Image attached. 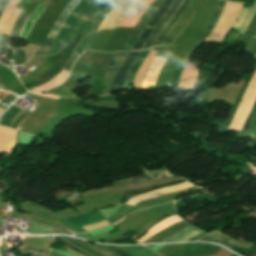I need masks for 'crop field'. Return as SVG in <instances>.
I'll list each match as a JSON object with an SVG mask.
<instances>
[{
	"label": "crop field",
	"mask_w": 256,
	"mask_h": 256,
	"mask_svg": "<svg viewBox=\"0 0 256 256\" xmlns=\"http://www.w3.org/2000/svg\"><path fill=\"white\" fill-rule=\"evenodd\" d=\"M97 1L98 0H81L78 6L73 10L71 15L65 21L62 29L58 34L57 40L63 41L66 44L72 38H74L86 16Z\"/></svg>",
	"instance_id": "crop-field-1"
},
{
	"label": "crop field",
	"mask_w": 256,
	"mask_h": 256,
	"mask_svg": "<svg viewBox=\"0 0 256 256\" xmlns=\"http://www.w3.org/2000/svg\"><path fill=\"white\" fill-rule=\"evenodd\" d=\"M244 3H233L227 1L223 12L213 30V32L206 38L207 40H219L226 35V33L233 26L238 14L240 13Z\"/></svg>",
	"instance_id": "crop-field-2"
},
{
	"label": "crop field",
	"mask_w": 256,
	"mask_h": 256,
	"mask_svg": "<svg viewBox=\"0 0 256 256\" xmlns=\"http://www.w3.org/2000/svg\"><path fill=\"white\" fill-rule=\"evenodd\" d=\"M256 99V73L253 76L240 104L235 113L233 121L228 129L241 130L247 115L249 114L252 105Z\"/></svg>",
	"instance_id": "crop-field-3"
},
{
	"label": "crop field",
	"mask_w": 256,
	"mask_h": 256,
	"mask_svg": "<svg viewBox=\"0 0 256 256\" xmlns=\"http://www.w3.org/2000/svg\"><path fill=\"white\" fill-rule=\"evenodd\" d=\"M136 0H118L97 31L115 29L120 20L125 16ZM119 25V24H118Z\"/></svg>",
	"instance_id": "crop-field-4"
},
{
	"label": "crop field",
	"mask_w": 256,
	"mask_h": 256,
	"mask_svg": "<svg viewBox=\"0 0 256 256\" xmlns=\"http://www.w3.org/2000/svg\"><path fill=\"white\" fill-rule=\"evenodd\" d=\"M163 2V0H155L153 4L150 6V8L146 11V13L141 18L140 22L128 38L127 42L123 46L122 50H132L133 46L135 45L136 41L140 37L142 31L144 30L145 26L147 25L149 19L154 14V12L157 10V8L160 6V4Z\"/></svg>",
	"instance_id": "crop-field-5"
},
{
	"label": "crop field",
	"mask_w": 256,
	"mask_h": 256,
	"mask_svg": "<svg viewBox=\"0 0 256 256\" xmlns=\"http://www.w3.org/2000/svg\"><path fill=\"white\" fill-rule=\"evenodd\" d=\"M173 0H165L156 14L151 18V21L148 23L149 26L155 27L157 22L161 19L165 11L168 9L169 5L172 3ZM153 30L152 27H146L144 32L142 33L141 37L137 41L133 50H141L143 44L145 43L146 39L150 35L151 31Z\"/></svg>",
	"instance_id": "crop-field-6"
},
{
	"label": "crop field",
	"mask_w": 256,
	"mask_h": 256,
	"mask_svg": "<svg viewBox=\"0 0 256 256\" xmlns=\"http://www.w3.org/2000/svg\"><path fill=\"white\" fill-rule=\"evenodd\" d=\"M181 2H182V0H175L173 2V4L170 6L168 11L165 13L163 18L160 20L158 26L153 31L152 35L150 36V38L148 39V41L146 42V44L144 45L142 50H146V49H149L152 47L154 41L156 40V38L158 37L160 32L163 30V28L166 26V24L169 22V20L173 16L174 12L180 6Z\"/></svg>",
	"instance_id": "crop-field-7"
},
{
	"label": "crop field",
	"mask_w": 256,
	"mask_h": 256,
	"mask_svg": "<svg viewBox=\"0 0 256 256\" xmlns=\"http://www.w3.org/2000/svg\"><path fill=\"white\" fill-rule=\"evenodd\" d=\"M190 186H192V185L190 183L186 182V183H182V184H179V185L166 187V188L159 189V190H156V191L144 194V195L133 197L126 204L134 206L140 200L147 199V198H150V197L160 196V195L167 194V193H171V192L181 190V189H184V188H187V187H190Z\"/></svg>",
	"instance_id": "crop-field-8"
},
{
	"label": "crop field",
	"mask_w": 256,
	"mask_h": 256,
	"mask_svg": "<svg viewBox=\"0 0 256 256\" xmlns=\"http://www.w3.org/2000/svg\"><path fill=\"white\" fill-rule=\"evenodd\" d=\"M138 53L139 52H131L130 53V55L128 56L127 60L123 64L122 68L119 70L115 80L113 81L109 93L115 92L117 90H120L121 85H122L123 80H124V76H125L127 70L129 69L130 65L132 64L133 60L138 55Z\"/></svg>",
	"instance_id": "crop-field-9"
},
{
	"label": "crop field",
	"mask_w": 256,
	"mask_h": 256,
	"mask_svg": "<svg viewBox=\"0 0 256 256\" xmlns=\"http://www.w3.org/2000/svg\"><path fill=\"white\" fill-rule=\"evenodd\" d=\"M16 133L12 129L0 126V151L10 152L15 142Z\"/></svg>",
	"instance_id": "crop-field-10"
},
{
	"label": "crop field",
	"mask_w": 256,
	"mask_h": 256,
	"mask_svg": "<svg viewBox=\"0 0 256 256\" xmlns=\"http://www.w3.org/2000/svg\"><path fill=\"white\" fill-rule=\"evenodd\" d=\"M191 0H184V2L181 4V6L179 7V9L177 10V12L174 14V16L172 17V19L170 20V22L168 23V25L166 26V28L164 29V31L161 33V35L158 37V39L156 40L154 46L156 45H161L162 42L164 41V39L166 38V36L169 34V32L171 31V29L173 28V26L176 24V22L178 21V19L181 17V15L183 14V12L186 10V8L188 7L189 3ZM153 46V47H154Z\"/></svg>",
	"instance_id": "crop-field-11"
},
{
	"label": "crop field",
	"mask_w": 256,
	"mask_h": 256,
	"mask_svg": "<svg viewBox=\"0 0 256 256\" xmlns=\"http://www.w3.org/2000/svg\"><path fill=\"white\" fill-rule=\"evenodd\" d=\"M148 52H149V50L140 52V54L134 60L132 66L130 67V69L127 72L122 89H130L131 88L132 82L135 77V73H136L137 69L140 67V65L143 63Z\"/></svg>",
	"instance_id": "crop-field-12"
},
{
	"label": "crop field",
	"mask_w": 256,
	"mask_h": 256,
	"mask_svg": "<svg viewBox=\"0 0 256 256\" xmlns=\"http://www.w3.org/2000/svg\"><path fill=\"white\" fill-rule=\"evenodd\" d=\"M80 0H71L70 3L68 4L67 8L63 11V13L60 15L58 20L56 21L55 25L51 29L53 32H59L61 26L63 25L64 21L68 17V15L72 12L73 8L76 6V4ZM57 36L56 33L50 32L47 38H55Z\"/></svg>",
	"instance_id": "crop-field-13"
},
{
	"label": "crop field",
	"mask_w": 256,
	"mask_h": 256,
	"mask_svg": "<svg viewBox=\"0 0 256 256\" xmlns=\"http://www.w3.org/2000/svg\"><path fill=\"white\" fill-rule=\"evenodd\" d=\"M54 40H46L43 45L40 47L38 52L35 54V56H44L47 54L48 50L50 49L52 43ZM10 59H14L17 61H20L22 63L27 62L24 51L23 50H16V52L9 57ZM19 62V63H20Z\"/></svg>",
	"instance_id": "crop-field-14"
},
{
	"label": "crop field",
	"mask_w": 256,
	"mask_h": 256,
	"mask_svg": "<svg viewBox=\"0 0 256 256\" xmlns=\"http://www.w3.org/2000/svg\"><path fill=\"white\" fill-rule=\"evenodd\" d=\"M168 176H172V175L168 171H166V172L157 173V174L148 175V176L130 178V179L122 180V181H115V182H113V184H114V186H120V185L150 181V180L163 178V177H168Z\"/></svg>",
	"instance_id": "crop-field-15"
},
{
	"label": "crop field",
	"mask_w": 256,
	"mask_h": 256,
	"mask_svg": "<svg viewBox=\"0 0 256 256\" xmlns=\"http://www.w3.org/2000/svg\"><path fill=\"white\" fill-rule=\"evenodd\" d=\"M179 221H181V218L178 215L171 217V218L159 223L155 227L151 228L143 237L138 239L137 242L142 243L145 240H147L149 237H151L153 234L157 233L158 231H160L176 222H179Z\"/></svg>",
	"instance_id": "crop-field-16"
},
{
	"label": "crop field",
	"mask_w": 256,
	"mask_h": 256,
	"mask_svg": "<svg viewBox=\"0 0 256 256\" xmlns=\"http://www.w3.org/2000/svg\"><path fill=\"white\" fill-rule=\"evenodd\" d=\"M182 182H186V181L185 180H180V181L169 183V184H163V185H157V186L148 187L146 189L126 191V192L123 193V195H122V197H121L119 202L125 204V202L127 200H129L133 196H136V195H139V194H143V193H147V192L156 190V189L161 188V187H165V186H169V185H173V184H177V183H182Z\"/></svg>",
	"instance_id": "crop-field-17"
},
{
	"label": "crop field",
	"mask_w": 256,
	"mask_h": 256,
	"mask_svg": "<svg viewBox=\"0 0 256 256\" xmlns=\"http://www.w3.org/2000/svg\"><path fill=\"white\" fill-rule=\"evenodd\" d=\"M156 53H157L156 51L150 50V52H149L147 58L145 59L144 63L141 65V67L137 71V74H136V77H135V80H134V83H133L131 89H139L140 83H141L142 78H143V75H144L146 69L148 68V66L151 64V62H152Z\"/></svg>",
	"instance_id": "crop-field-18"
},
{
	"label": "crop field",
	"mask_w": 256,
	"mask_h": 256,
	"mask_svg": "<svg viewBox=\"0 0 256 256\" xmlns=\"http://www.w3.org/2000/svg\"><path fill=\"white\" fill-rule=\"evenodd\" d=\"M99 218H103V216L101 215V213L98 210H96L94 212L87 213V214L80 215V216H76V217H73V218H70V219H67V220L79 225V224L89 222V221H93V220H96V219H99Z\"/></svg>",
	"instance_id": "crop-field-19"
},
{
	"label": "crop field",
	"mask_w": 256,
	"mask_h": 256,
	"mask_svg": "<svg viewBox=\"0 0 256 256\" xmlns=\"http://www.w3.org/2000/svg\"><path fill=\"white\" fill-rule=\"evenodd\" d=\"M120 248L132 256H157V254L153 253L152 251L148 250L143 246L120 247Z\"/></svg>",
	"instance_id": "crop-field-20"
},
{
	"label": "crop field",
	"mask_w": 256,
	"mask_h": 256,
	"mask_svg": "<svg viewBox=\"0 0 256 256\" xmlns=\"http://www.w3.org/2000/svg\"><path fill=\"white\" fill-rule=\"evenodd\" d=\"M225 2H226V0H218V2L216 4V7H215V10H214V13L212 12L213 15L211 14L212 17L210 16L211 19L209 18L210 21L208 20L209 22H208V24H207V26L205 27L204 30L213 29L214 25L216 24L221 12H222V9H223V6H224Z\"/></svg>",
	"instance_id": "crop-field-21"
},
{
	"label": "crop field",
	"mask_w": 256,
	"mask_h": 256,
	"mask_svg": "<svg viewBox=\"0 0 256 256\" xmlns=\"http://www.w3.org/2000/svg\"><path fill=\"white\" fill-rule=\"evenodd\" d=\"M21 110L17 108L16 106H12L5 114L4 116L0 119V125L3 126H9L13 118L16 116L18 111Z\"/></svg>",
	"instance_id": "crop-field-22"
},
{
	"label": "crop field",
	"mask_w": 256,
	"mask_h": 256,
	"mask_svg": "<svg viewBox=\"0 0 256 256\" xmlns=\"http://www.w3.org/2000/svg\"><path fill=\"white\" fill-rule=\"evenodd\" d=\"M28 15L29 14H27L25 11L22 10V12L20 13V15H19V17H18V19L15 23V26H14V28L11 31L9 36H12V37H18L19 36V33H20L21 27L23 25V22L28 17Z\"/></svg>",
	"instance_id": "crop-field-23"
},
{
	"label": "crop field",
	"mask_w": 256,
	"mask_h": 256,
	"mask_svg": "<svg viewBox=\"0 0 256 256\" xmlns=\"http://www.w3.org/2000/svg\"><path fill=\"white\" fill-rule=\"evenodd\" d=\"M209 236V238L217 243V244H220V245H223L227 248H230L231 246H229L228 244L234 242L228 238H226L223 234L221 233H215V234H207Z\"/></svg>",
	"instance_id": "crop-field-24"
},
{
	"label": "crop field",
	"mask_w": 256,
	"mask_h": 256,
	"mask_svg": "<svg viewBox=\"0 0 256 256\" xmlns=\"http://www.w3.org/2000/svg\"><path fill=\"white\" fill-rule=\"evenodd\" d=\"M197 73H198V70L196 69L195 66H193L189 63H186V66L180 76V80H183V79L189 78V77H193V76L197 75Z\"/></svg>",
	"instance_id": "crop-field-25"
},
{
	"label": "crop field",
	"mask_w": 256,
	"mask_h": 256,
	"mask_svg": "<svg viewBox=\"0 0 256 256\" xmlns=\"http://www.w3.org/2000/svg\"><path fill=\"white\" fill-rule=\"evenodd\" d=\"M177 213H176V211H174V212H172V213H169V214H166V215H162L161 217H159V218H157V219H155V220H153L151 223H149L146 227H144L143 229H142V231L139 233V234H137V236H142L144 233H146L151 227H153L155 224H157L158 222H160V221H162V220H164V219H166V218H168V217H171V216H173V215H176Z\"/></svg>",
	"instance_id": "crop-field-26"
},
{
	"label": "crop field",
	"mask_w": 256,
	"mask_h": 256,
	"mask_svg": "<svg viewBox=\"0 0 256 256\" xmlns=\"http://www.w3.org/2000/svg\"><path fill=\"white\" fill-rule=\"evenodd\" d=\"M20 10L21 9H17V8L14 9L10 18L8 19L7 23L5 24V26L3 28V31H2L3 34H7V35L9 34V32L13 26V23H14L17 15L19 14Z\"/></svg>",
	"instance_id": "crop-field-27"
},
{
	"label": "crop field",
	"mask_w": 256,
	"mask_h": 256,
	"mask_svg": "<svg viewBox=\"0 0 256 256\" xmlns=\"http://www.w3.org/2000/svg\"><path fill=\"white\" fill-rule=\"evenodd\" d=\"M129 52H120L119 55L117 56L114 65L109 68L108 70H119L120 66L128 56ZM107 70V71H108Z\"/></svg>",
	"instance_id": "crop-field-28"
},
{
	"label": "crop field",
	"mask_w": 256,
	"mask_h": 256,
	"mask_svg": "<svg viewBox=\"0 0 256 256\" xmlns=\"http://www.w3.org/2000/svg\"><path fill=\"white\" fill-rule=\"evenodd\" d=\"M249 10H250V7L243 8V10L241 11L239 18H238L239 21L235 22L233 28L238 29V30L241 28V26L244 24V22L246 20Z\"/></svg>",
	"instance_id": "crop-field-29"
},
{
	"label": "crop field",
	"mask_w": 256,
	"mask_h": 256,
	"mask_svg": "<svg viewBox=\"0 0 256 256\" xmlns=\"http://www.w3.org/2000/svg\"><path fill=\"white\" fill-rule=\"evenodd\" d=\"M194 228H196V227H194V226L191 225V226H189V227H187V228H185V229H183V230H181V231H179V232H177V233L171 235L170 237L164 239L162 242H170V241L176 239L177 237H179V236H181V235H183V234H185V233H187V232L193 230ZM160 243H161V242H160Z\"/></svg>",
	"instance_id": "crop-field-30"
},
{
	"label": "crop field",
	"mask_w": 256,
	"mask_h": 256,
	"mask_svg": "<svg viewBox=\"0 0 256 256\" xmlns=\"http://www.w3.org/2000/svg\"><path fill=\"white\" fill-rule=\"evenodd\" d=\"M195 80H196V77L188 79V80L181 81V82H179L178 87L192 91L193 87H194V84H195Z\"/></svg>",
	"instance_id": "crop-field-31"
},
{
	"label": "crop field",
	"mask_w": 256,
	"mask_h": 256,
	"mask_svg": "<svg viewBox=\"0 0 256 256\" xmlns=\"http://www.w3.org/2000/svg\"><path fill=\"white\" fill-rule=\"evenodd\" d=\"M183 66H184L183 64L178 62L177 66H176V68H175V70L173 72V76H172V79H171V82H170L169 85H172V84L178 82L180 73H181V71L183 69Z\"/></svg>",
	"instance_id": "crop-field-32"
},
{
	"label": "crop field",
	"mask_w": 256,
	"mask_h": 256,
	"mask_svg": "<svg viewBox=\"0 0 256 256\" xmlns=\"http://www.w3.org/2000/svg\"><path fill=\"white\" fill-rule=\"evenodd\" d=\"M103 220H105V218L100 219V220H97V221H94V222L86 223V224H83V225H79V226H77V225H75V224H73V223H71V222H69V221H67V220H63V219H60L59 222L64 223V224H67V225H69V226L75 228V229L78 230L79 232L83 233V232H85V231H84L83 229H81L80 227H82V226H84V225H88V224H93V223L101 222V221H103Z\"/></svg>",
	"instance_id": "crop-field-33"
},
{
	"label": "crop field",
	"mask_w": 256,
	"mask_h": 256,
	"mask_svg": "<svg viewBox=\"0 0 256 256\" xmlns=\"http://www.w3.org/2000/svg\"><path fill=\"white\" fill-rule=\"evenodd\" d=\"M12 10H13V8H7V9L4 11L2 17L0 18V32H1V30H2V28H3V26H4V24H5V22H6L7 19L9 18V16H10Z\"/></svg>",
	"instance_id": "crop-field-34"
},
{
	"label": "crop field",
	"mask_w": 256,
	"mask_h": 256,
	"mask_svg": "<svg viewBox=\"0 0 256 256\" xmlns=\"http://www.w3.org/2000/svg\"><path fill=\"white\" fill-rule=\"evenodd\" d=\"M82 102H84V101H82ZM84 103L91 104V105H96V106H100V107H104V108H116V107H119V105L116 102H104V103H88V102H84Z\"/></svg>",
	"instance_id": "crop-field-35"
},
{
	"label": "crop field",
	"mask_w": 256,
	"mask_h": 256,
	"mask_svg": "<svg viewBox=\"0 0 256 256\" xmlns=\"http://www.w3.org/2000/svg\"><path fill=\"white\" fill-rule=\"evenodd\" d=\"M255 12H256V3L254 4V6H253V8H252V10H251V12H250V15H249L247 21L245 22L243 28H242L241 31H240L241 34L244 33V31L246 30V28H247L248 25L250 24V22H251V20H252V18H253V16H254V14H255Z\"/></svg>",
	"instance_id": "crop-field-36"
},
{
	"label": "crop field",
	"mask_w": 256,
	"mask_h": 256,
	"mask_svg": "<svg viewBox=\"0 0 256 256\" xmlns=\"http://www.w3.org/2000/svg\"><path fill=\"white\" fill-rule=\"evenodd\" d=\"M65 44L58 42L55 40L54 44L52 45L48 55L51 54H55L56 52H58L60 49H62L64 47Z\"/></svg>",
	"instance_id": "crop-field-37"
},
{
	"label": "crop field",
	"mask_w": 256,
	"mask_h": 256,
	"mask_svg": "<svg viewBox=\"0 0 256 256\" xmlns=\"http://www.w3.org/2000/svg\"><path fill=\"white\" fill-rule=\"evenodd\" d=\"M77 57L78 56L75 53H73L72 56L70 57V59L67 61V63L63 66V68L69 70L72 67V65L74 64Z\"/></svg>",
	"instance_id": "crop-field-38"
},
{
	"label": "crop field",
	"mask_w": 256,
	"mask_h": 256,
	"mask_svg": "<svg viewBox=\"0 0 256 256\" xmlns=\"http://www.w3.org/2000/svg\"><path fill=\"white\" fill-rule=\"evenodd\" d=\"M60 250H62L63 252H65L71 256H83V255L71 250L70 248H68L66 246L61 247Z\"/></svg>",
	"instance_id": "crop-field-39"
},
{
	"label": "crop field",
	"mask_w": 256,
	"mask_h": 256,
	"mask_svg": "<svg viewBox=\"0 0 256 256\" xmlns=\"http://www.w3.org/2000/svg\"><path fill=\"white\" fill-rule=\"evenodd\" d=\"M19 253H28V254H34V255H40V256H47L48 252L44 251H19Z\"/></svg>",
	"instance_id": "crop-field-40"
},
{
	"label": "crop field",
	"mask_w": 256,
	"mask_h": 256,
	"mask_svg": "<svg viewBox=\"0 0 256 256\" xmlns=\"http://www.w3.org/2000/svg\"><path fill=\"white\" fill-rule=\"evenodd\" d=\"M117 233H119V232L116 231V232H114V233H112V234H110V235H108V236H104V237H101V238H99V239L95 238L94 236H92V235H91L90 233H88V232H86V233H84V234H85L86 236H88L89 238H91L92 240L99 242V240L104 239V238H107V237H110V236L115 235V234H117Z\"/></svg>",
	"instance_id": "crop-field-41"
},
{
	"label": "crop field",
	"mask_w": 256,
	"mask_h": 256,
	"mask_svg": "<svg viewBox=\"0 0 256 256\" xmlns=\"http://www.w3.org/2000/svg\"><path fill=\"white\" fill-rule=\"evenodd\" d=\"M62 238L65 239L66 241H68L69 243H71L72 245H74V246H76V247H78V248H80V249H82V250H84V251H86V252H88V253L94 255V256H99V255H97V254H95V253H93V252H91V251H89V250H87V249L81 247L80 245H78V244H76V243L70 241L69 239H67V238H65V237H62Z\"/></svg>",
	"instance_id": "crop-field-42"
},
{
	"label": "crop field",
	"mask_w": 256,
	"mask_h": 256,
	"mask_svg": "<svg viewBox=\"0 0 256 256\" xmlns=\"http://www.w3.org/2000/svg\"><path fill=\"white\" fill-rule=\"evenodd\" d=\"M79 197H81V194L79 192H77L74 195H72L71 197H69L68 199H66L65 204L72 202L75 198H79Z\"/></svg>",
	"instance_id": "crop-field-43"
},
{
	"label": "crop field",
	"mask_w": 256,
	"mask_h": 256,
	"mask_svg": "<svg viewBox=\"0 0 256 256\" xmlns=\"http://www.w3.org/2000/svg\"><path fill=\"white\" fill-rule=\"evenodd\" d=\"M55 239H57V240H59V241L65 243V244H67L70 248H72V249H74V250H76V251H78V252H80V253H82V254H84V255H86V256H90V255H88V254H86V253L80 251L79 249L75 248L74 246H72V245H70V244L64 242L62 239H60V238H58V237H56Z\"/></svg>",
	"instance_id": "crop-field-44"
},
{
	"label": "crop field",
	"mask_w": 256,
	"mask_h": 256,
	"mask_svg": "<svg viewBox=\"0 0 256 256\" xmlns=\"http://www.w3.org/2000/svg\"><path fill=\"white\" fill-rule=\"evenodd\" d=\"M81 242L84 243V244H86V245H88V246H90V247H92V248H94V249H97V250H99V251H102V252H104V253H106V254H108V255H110V256H115V255H113L112 253H110V252H108V251H105V250H103V249L97 248V247H95V246H92V245L88 244L87 242H83V241H81Z\"/></svg>",
	"instance_id": "crop-field-45"
},
{
	"label": "crop field",
	"mask_w": 256,
	"mask_h": 256,
	"mask_svg": "<svg viewBox=\"0 0 256 256\" xmlns=\"http://www.w3.org/2000/svg\"><path fill=\"white\" fill-rule=\"evenodd\" d=\"M250 121H251V117L248 116V118H247V120H246V123H245V125H244V127H243L242 130H244V131H249V132H250V126H249Z\"/></svg>",
	"instance_id": "crop-field-46"
},
{
	"label": "crop field",
	"mask_w": 256,
	"mask_h": 256,
	"mask_svg": "<svg viewBox=\"0 0 256 256\" xmlns=\"http://www.w3.org/2000/svg\"><path fill=\"white\" fill-rule=\"evenodd\" d=\"M110 247V246H109ZM113 249H115L117 252H119L120 254H122L123 256H130L129 254H127L126 252H124L123 250L117 248V247H111Z\"/></svg>",
	"instance_id": "crop-field-47"
},
{
	"label": "crop field",
	"mask_w": 256,
	"mask_h": 256,
	"mask_svg": "<svg viewBox=\"0 0 256 256\" xmlns=\"http://www.w3.org/2000/svg\"><path fill=\"white\" fill-rule=\"evenodd\" d=\"M95 246H98V247H102V248H105V249H107V250H110L111 252H113L115 255H117V256H122V255H120L119 253H117L115 250H113V249H111V248H108V247H106V246H101V245H95Z\"/></svg>",
	"instance_id": "crop-field-48"
},
{
	"label": "crop field",
	"mask_w": 256,
	"mask_h": 256,
	"mask_svg": "<svg viewBox=\"0 0 256 256\" xmlns=\"http://www.w3.org/2000/svg\"><path fill=\"white\" fill-rule=\"evenodd\" d=\"M6 6V0H3L1 3H0V15L2 14L4 8Z\"/></svg>",
	"instance_id": "crop-field-49"
},
{
	"label": "crop field",
	"mask_w": 256,
	"mask_h": 256,
	"mask_svg": "<svg viewBox=\"0 0 256 256\" xmlns=\"http://www.w3.org/2000/svg\"><path fill=\"white\" fill-rule=\"evenodd\" d=\"M194 241H210V240H209V238L206 237V235H203V236L197 238Z\"/></svg>",
	"instance_id": "crop-field-50"
},
{
	"label": "crop field",
	"mask_w": 256,
	"mask_h": 256,
	"mask_svg": "<svg viewBox=\"0 0 256 256\" xmlns=\"http://www.w3.org/2000/svg\"><path fill=\"white\" fill-rule=\"evenodd\" d=\"M20 0H12L7 7H15Z\"/></svg>",
	"instance_id": "crop-field-51"
},
{
	"label": "crop field",
	"mask_w": 256,
	"mask_h": 256,
	"mask_svg": "<svg viewBox=\"0 0 256 256\" xmlns=\"http://www.w3.org/2000/svg\"><path fill=\"white\" fill-rule=\"evenodd\" d=\"M71 240H73L72 238H70ZM73 241H75V240H73ZM75 242H77V241H75ZM78 244H80L81 246H83V247H86V246H84L83 244H81V243H79V242H77ZM86 248H88V247H86ZM90 249V248H89ZM92 250V249H91ZM94 252H96V253H98V254H100V255H102V256H107V255H105V254H103V253H101V252H99V251H96V250H93Z\"/></svg>",
	"instance_id": "crop-field-52"
},
{
	"label": "crop field",
	"mask_w": 256,
	"mask_h": 256,
	"mask_svg": "<svg viewBox=\"0 0 256 256\" xmlns=\"http://www.w3.org/2000/svg\"><path fill=\"white\" fill-rule=\"evenodd\" d=\"M30 0H21L17 6L28 3Z\"/></svg>",
	"instance_id": "crop-field-53"
},
{
	"label": "crop field",
	"mask_w": 256,
	"mask_h": 256,
	"mask_svg": "<svg viewBox=\"0 0 256 256\" xmlns=\"http://www.w3.org/2000/svg\"><path fill=\"white\" fill-rule=\"evenodd\" d=\"M122 235H123V234H122V233H120V234L115 235V236H113V237L107 238V239H105L104 241H107V240H110V239H112V238L119 237V236H122Z\"/></svg>",
	"instance_id": "crop-field-54"
},
{
	"label": "crop field",
	"mask_w": 256,
	"mask_h": 256,
	"mask_svg": "<svg viewBox=\"0 0 256 256\" xmlns=\"http://www.w3.org/2000/svg\"><path fill=\"white\" fill-rule=\"evenodd\" d=\"M208 92H209V90L206 89L202 99H204V100L206 99V96H207Z\"/></svg>",
	"instance_id": "crop-field-55"
},
{
	"label": "crop field",
	"mask_w": 256,
	"mask_h": 256,
	"mask_svg": "<svg viewBox=\"0 0 256 256\" xmlns=\"http://www.w3.org/2000/svg\"><path fill=\"white\" fill-rule=\"evenodd\" d=\"M2 112H3V109L0 108V115L2 114Z\"/></svg>",
	"instance_id": "crop-field-56"
},
{
	"label": "crop field",
	"mask_w": 256,
	"mask_h": 256,
	"mask_svg": "<svg viewBox=\"0 0 256 256\" xmlns=\"http://www.w3.org/2000/svg\"><path fill=\"white\" fill-rule=\"evenodd\" d=\"M253 36H256V32H255V34Z\"/></svg>",
	"instance_id": "crop-field-57"
},
{
	"label": "crop field",
	"mask_w": 256,
	"mask_h": 256,
	"mask_svg": "<svg viewBox=\"0 0 256 256\" xmlns=\"http://www.w3.org/2000/svg\"><path fill=\"white\" fill-rule=\"evenodd\" d=\"M11 0H8V3L10 2Z\"/></svg>",
	"instance_id": "crop-field-58"
},
{
	"label": "crop field",
	"mask_w": 256,
	"mask_h": 256,
	"mask_svg": "<svg viewBox=\"0 0 256 256\" xmlns=\"http://www.w3.org/2000/svg\"><path fill=\"white\" fill-rule=\"evenodd\" d=\"M32 1H35V0H32ZM32 1H30V2H32Z\"/></svg>",
	"instance_id": "crop-field-59"
},
{
	"label": "crop field",
	"mask_w": 256,
	"mask_h": 256,
	"mask_svg": "<svg viewBox=\"0 0 256 256\" xmlns=\"http://www.w3.org/2000/svg\"><path fill=\"white\" fill-rule=\"evenodd\" d=\"M1 36H2V35H0V39H1Z\"/></svg>",
	"instance_id": "crop-field-60"
},
{
	"label": "crop field",
	"mask_w": 256,
	"mask_h": 256,
	"mask_svg": "<svg viewBox=\"0 0 256 256\" xmlns=\"http://www.w3.org/2000/svg\"><path fill=\"white\" fill-rule=\"evenodd\" d=\"M233 256H236V255H233Z\"/></svg>",
	"instance_id": "crop-field-61"
},
{
	"label": "crop field",
	"mask_w": 256,
	"mask_h": 256,
	"mask_svg": "<svg viewBox=\"0 0 256 256\" xmlns=\"http://www.w3.org/2000/svg\"><path fill=\"white\" fill-rule=\"evenodd\" d=\"M2 0H0V2H1Z\"/></svg>",
	"instance_id": "crop-field-62"
},
{
	"label": "crop field",
	"mask_w": 256,
	"mask_h": 256,
	"mask_svg": "<svg viewBox=\"0 0 256 256\" xmlns=\"http://www.w3.org/2000/svg\"><path fill=\"white\" fill-rule=\"evenodd\" d=\"M256 57V56H255Z\"/></svg>",
	"instance_id": "crop-field-63"
}]
</instances>
